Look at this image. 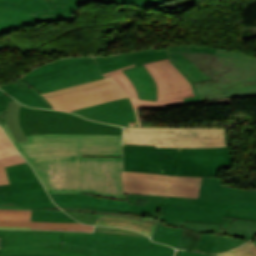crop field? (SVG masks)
Wrapping results in <instances>:
<instances>
[{
    "label": "crop field",
    "mask_w": 256,
    "mask_h": 256,
    "mask_svg": "<svg viewBox=\"0 0 256 256\" xmlns=\"http://www.w3.org/2000/svg\"><path fill=\"white\" fill-rule=\"evenodd\" d=\"M182 230L183 229L180 228L163 225L162 222L159 221L158 227L152 237V240L163 242L176 247Z\"/></svg>",
    "instance_id": "obj_22"
},
{
    "label": "crop field",
    "mask_w": 256,
    "mask_h": 256,
    "mask_svg": "<svg viewBox=\"0 0 256 256\" xmlns=\"http://www.w3.org/2000/svg\"><path fill=\"white\" fill-rule=\"evenodd\" d=\"M4 256H15V255H4Z\"/></svg>",
    "instance_id": "obj_41"
},
{
    "label": "crop field",
    "mask_w": 256,
    "mask_h": 256,
    "mask_svg": "<svg viewBox=\"0 0 256 256\" xmlns=\"http://www.w3.org/2000/svg\"><path fill=\"white\" fill-rule=\"evenodd\" d=\"M0 237V255L173 256L175 251L146 237L100 232L0 230Z\"/></svg>",
    "instance_id": "obj_3"
},
{
    "label": "crop field",
    "mask_w": 256,
    "mask_h": 256,
    "mask_svg": "<svg viewBox=\"0 0 256 256\" xmlns=\"http://www.w3.org/2000/svg\"><path fill=\"white\" fill-rule=\"evenodd\" d=\"M62 69L24 78L41 93L102 79L94 60L62 66Z\"/></svg>",
    "instance_id": "obj_14"
},
{
    "label": "crop field",
    "mask_w": 256,
    "mask_h": 256,
    "mask_svg": "<svg viewBox=\"0 0 256 256\" xmlns=\"http://www.w3.org/2000/svg\"><path fill=\"white\" fill-rule=\"evenodd\" d=\"M56 207L36 174L20 154L0 160V204Z\"/></svg>",
    "instance_id": "obj_7"
},
{
    "label": "crop field",
    "mask_w": 256,
    "mask_h": 256,
    "mask_svg": "<svg viewBox=\"0 0 256 256\" xmlns=\"http://www.w3.org/2000/svg\"><path fill=\"white\" fill-rule=\"evenodd\" d=\"M1 127L48 193H93L127 200L120 173L122 136L45 134L17 143L8 126Z\"/></svg>",
    "instance_id": "obj_1"
},
{
    "label": "crop field",
    "mask_w": 256,
    "mask_h": 256,
    "mask_svg": "<svg viewBox=\"0 0 256 256\" xmlns=\"http://www.w3.org/2000/svg\"><path fill=\"white\" fill-rule=\"evenodd\" d=\"M122 179L125 194H154L197 198L201 177L122 172Z\"/></svg>",
    "instance_id": "obj_10"
},
{
    "label": "crop field",
    "mask_w": 256,
    "mask_h": 256,
    "mask_svg": "<svg viewBox=\"0 0 256 256\" xmlns=\"http://www.w3.org/2000/svg\"><path fill=\"white\" fill-rule=\"evenodd\" d=\"M125 171L186 176H216L220 168L232 167L229 147L153 148L123 145Z\"/></svg>",
    "instance_id": "obj_4"
},
{
    "label": "crop field",
    "mask_w": 256,
    "mask_h": 256,
    "mask_svg": "<svg viewBox=\"0 0 256 256\" xmlns=\"http://www.w3.org/2000/svg\"><path fill=\"white\" fill-rule=\"evenodd\" d=\"M93 58L91 57H85V58H67V59H63L60 61H57L59 66L62 65H66V64H71V63H75V62H80V61H86V60H91Z\"/></svg>",
    "instance_id": "obj_33"
},
{
    "label": "crop field",
    "mask_w": 256,
    "mask_h": 256,
    "mask_svg": "<svg viewBox=\"0 0 256 256\" xmlns=\"http://www.w3.org/2000/svg\"><path fill=\"white\" fill-rule=\"evenodd\" d=\"M0 240H1V238H0Z\"/></svg>",
    "instance_id": "obj_43"
},
{
    "label": "crop field",
    "mask_w": 256,
    "mask_h": 256,
    "mask_svg": "<svg viewBox=\"0 0 256 256\" xmlns=\"http://www.w3.org/2000/svg\"><path fill=\"white\" fill-rule=\"evenodd\" d=\"M170 59L184 72V74L194 83L210 80L205 73L187 60L179 52H190V46L167 47Z\"/></svg>",
    "instance_id": "obj_19"
},
{
    "label": "crop field",
    "mask_w": 256,
    "mask_h": 256,
    "mask_svg": "<svg viewBox=\"0 0 256 256\" xmlns=\"http://www.w3.org/2000/svg\"><path fill=\"white\" fill-rule=\"evenodd\" d=\"M106 77L43 95L55 109L66 111L127 96L111 75Z\"/></svg>",
    "instance_id": "obj_11"
},
{
    "label": "crop field",
    "mask_w": 256,
    "mask_h": 256,
    "mask_svg": "<svg viewBox=\"0 0 256 256\" xmlns=\"http://www.w3.org/2000/svg\"><path fill=\"white\" fill-rule=\"evenodd\" d=\"M4 1H16V2H19L20 0H4Z\"/></svg>",
    "instance_id": "obj_40"
},
{
    "label": "crop field",
    "mask_w": 256,
    "mask_h": 256,
    "mask_svg": "<svg viewBox=\"0 0 256 256\" xmlns=\"http://www.w3.org/2000/svg\"><path fill=\"white\" fill-rule=\"evenodd\" d=\"M51 11L34 12L37 16L28 15L13 8H0V34L20 29L36 23L75 20L73 12L84 1L88 0H45ZM106 3L101 0H94Z\"/></svg>",
    "instance_id": "obj_13"
},
{
    "label": "crop field",
    "mask_w": 256,
    "mask_h": 256,
    "mask_svg": "<svg viewBox=\"0 0 256 256\" xmlns=\"http://www.w3.org/2000/svg\"><path fill=\"white\" fill-rule=\"evenodd\" d=\"M15 154H18V152L0 128V158L9 157Z\"/></svg>",
    "instance_id": "obj_28"
},
{
    "label": "crop field",
    "mask_w": 256,
    "mask_h": 256,
    "mask_svg": "<svg viewBox=\"0 0 256 256\" xmlns=\"http://www.w3.org/2000/svg\"><path fill=\"white\" fill-rule=\"evenodd\" d=\"M216 256H256V244L249 242L235 250L228 251Z\"/></svg>",
    "instance_id": "obj_27"
},
{
    "label": "crop field",
    "mask_w": 256,
    "mask_h": 256,
    "mask_svg": "<svg viewBox=\"0 0 256 256\" xmlns=\"http://www.w3.org/2000/svg\"><path fill=\"white\" fill-rule=\"evenodd\" d=\"M64 210L117 214L171 226L184 221L221 224L224 233L236 219L256 221V189L222 185L221 177H202L198 199L171 196L127 195L128 201L92 194H50Z\"/></svg>",
    "instance_id": "obj_2"
},
{
    "label": "crop field",
    "mask_w": 256,
    "mask_h": 256,
    "mask_svg": "<svg viewBox=\"0 0 256 256\" xmlns=\"http://www.w3.org/2000/svg\"><path fill=\"white\" fill-rule=\"evenodd\" d=\"M5 123V111H0V124Z\"/></svg>",
    "instance_id": "obj_38"
},
{
    "label": "crop field",
    "mask_w": 256,
    "mask_h": 256,
    "mask_svg": "<svg viewBox=\"0 0 256 256\" xmlns=\"http://www.w3.org/2000/svg\"><path fill=\"white\" fill-rule=\"evenodd\" d=\"M11 100L14 99L0 90V110H5L7 108V103Z\"/></svg>",
    "instance_id": "obj_35"
},
{
    "label": "crop field",
    "mask_w": 256,
    "mask_h": 256,
    "mask_svg": "<svg viewBox=\"0 0 256 256\" xmlns=\"http://www.w3.org/2000/svg\"><path fill=\"white\" fill-rule=\"evenodd\" d=\"M176 256H214V255L177 250Z\"/></svg>",
    "instance_id": "obj_37"
},
{
    "label": "crop field",
    "mask_w": 256,
    "mask_h": 256,
    "mask_svg": "<svg viewBox=\"0 0 256 256\" xmlns=\"http://www.w3.org/2000/svg\"><path fill=\"white\" fill-rule=\"evenodd\" d=\"M123 144L154 147L229 146L226 129L124 128Z\"/></svg>",
    "instance_id": "obj_9"
},
{
    "label": "crop field",
    "mask_w": 256,
    "mask_h": 256,
    "mask_svg": "<svg viewBox=\"0 0 256 256\" xmlns=\"http://www.w3.org/2000/svg\"><path fill=\"white\" fill-rule=\"evenodd\" d=\"M0 209L54 211V210L28 208L23 206H0ZM56 212H63V211H56Z\"/></svg>",
    "instance_id": "obj_36"
},
{
    "label": "crop field",
    "mask_w": 256,
    "mask_h": 256,
    "mask_svg": "<svg viewBox=\"0 0 256 256\" xmlns=\"http://www.w3.org/2000/svg\"><path fill=\"white\" fill-rule=\"evenodd\" d=\"M201 233H194L188 230H183L180 240L176 248L196 250Z\"/></svg>",
    "instance_id": "obj_26"
},
{
    "label": "crop field",
    "mask_w": 256,
    "mask_h": 256,
    "mask_svg": "<svg viewBox=\"0 0 256 256\" xmlns=\"http://www.w3.org/2000/svg\"><path fill=\"white\" fill-rule=\"evenodd\" d=\"M168 60H169V61L173 64V66L191 83V86H192V89H193V92H194L195 97L184 99L185 103L175 104V105H169V106H166V107L182 106V105H189V104H195V103H202V102H204V101H200L194 83H192V82L183 74V72L176 66V64H174L170 59H168Z\"/></svg>",
    "instance_id": "obj_29"
},
{
    "label": "crop field",
    "mask_w": 256,
    "mask_h": 256,
    "mask_svg": "<svg viewBox=\"0 0 256 256\" xmlns=\"http://www.w3.org/2000/svg\"><path fill=\"white\" fill-rule=\"evenodd\" d=\"M31 211L0 210V226L31 227V229L93 231V226L68 223L30 222Z\"/></svg>",
    "instance_id": "obj_17"
},
{
    "label": "crop field",
    "mask_w": 256,
    "mask_h": 256,
    "mask_svg": "<svg viewBox=\"0 0 256 256\" xmlns=\"http://www.w3.org/2000/svg\"><path fill=\"white\" fill-rule=\"evenodd\" d=\"M181 54L213 79L195 84L201 100L256 97V58L222 49Z\"/></svg>",
    "instance_id": "obj_5"
},
{
    "label": "crop field",
    "mask_w": 256,
    "mask_h": 256,
    "mask_svg": "<svg viewBox=\"0 0 256 256\" xmlns=\"http://www.w3.org/2000/svg\"><path fill=\"white\" fill-rule=\"evenodd\" d=\"M123 72L136 88L139 99L156 100L155 81L143 65L123 70Z\"/></svg>",
    "instance_id": "obj_18"
},
{
    "label": "crop field",
    "mask_w": 256,
    "mask_h": 256,
    "mask_svg": "<svg viewBox=\"0 0 256 256\" xmlns=\"http://www.w3.org/2000/svg\"><path fill=\"white\" fill-rule=\"evenodd\" d=\"M127 57H129L132 60V62L136 66H138L147 62L166 59L168 58V55L165 48H161V49H155V50L133 52V53H129L121 56L95 58V60L97 61L98 65H101V64L117 61L123 58H127Z\"/></svg>",
    "instance_id": "obj_21"
},
{
    "label": "crop field",
    "mask_w": 256,
    "mask_h": 256,
    "mask_svg": "<svg viewBox=\"0 0 256 256\" xmlns=\"http://www.w3.org/2000/svg\"><path fill=\"white\" fill-rule=\"evenodd\" d=\"M20 103L12 101L8 104V109L6 111V122L12 132L16 137L18 142L27 140L24 135L19 122H18V113H19Z\"/></svg>",
    "instance_id": "obj_23"
},
{
    "label": "crop field",
    "mask_w": 256,
    "mask_h": 256,
    "mask_svg": "<svg viewBox=\"0 0 256 256\" xmlns=\"http://www.w3.org/2000/svg\"><path fill=\"white\" fill-rule=\"evenodd\" d=\"M95 231L101 232H113V233H122V234H130V235H138V236H145L135 231L114 228V227H103V226H95ZM147 237V236H146Z\"/></svg>",
    "instance_id": "obj_32"
},
{
    "label": "crop field",
    "mask_w": 256,
    "mask_h": 256,
    "mask_svg": "<svg viewBox=\"0 0 256 256\" xmlns=\"http://www.w3.org/2000/svg\"><path fill=\"white\" fill-rule=\"evenodd\" d=\"M0 228H7V229H30V228H12V227H0Z\"/></svg>",
    "instance_id": "obj_39"
},
{
    "label": "crop field",
    "mask_w": 256,
    "mask_h": 256,
    "mask_svg": "<svg viewBox=\"0 0 256 256\" xmlns=\"http://www.w3.org/2000/svg\"><path fill=\"white\" fill-rule=\"evenodd\" d=\"M19 122L25 135L45 133L122 135V127L92 122L70 113L22 105Z\"/></svg>",
    "instance_id": "obj_8"
},
{
    "label": "crop field",
    "mask_w": 256,
    "mask_h": 256,
    "mask_svg": "<svg viewBox=\"0 0 256 256\" xmlns=\"http://www.w3.org/2000/svg\"><path fill=\"white\" fill-rule=\"evenodd\" d=\"M220 225L185 222V229L202 232L196 251L220 253L242 245L256 236V222L236 219L224 234H217Z\"/></svg>",
    "instance_id": "obj_12"
},
{
    "label": "crop field",
    "mask_w": 256,
    "mask_h": 256,
    "mask_svg": "<svg viewBox=\"0 0 256 256\" xmlns=\"http://www.w3.org/2000/svg\"><path fill=\"white\" fill-rule=\"evenodd\" d=\"M60 68L56 62H52L46 65H43L35 70H33L31 73H29L27 76L54 70ZM1 88L17 99L18 101L28 105V106H34V107H41V108H50L53 109L50 102L39 92H37L34 88H32L27 82H25L23 79H20L18 81H15L9 85L1 86Z\"/></svg>",
    "instance_id": "obj_16"
},
{
    "label": "crop field",
    "mask_w": 256,
    "mask_h": 256,
    "mask_svg": "<svg viewBox=\"0 0 256 256\" xmlns=\"http://www.w3.org/2000/svg\"><path fill=\"white\" fill-rule=\"evenodd\" d=\"M129 65H133V63L131 62V60L129 58H127V59L120 60V61H117V62H114V63L101 65L99 67H100L102 73H104V72H108V71L115 70V69H118V68L126 67V66H129Z\"/></svg>",
    "instance_id": "obj_31"
},
{
    "label": "crop field",
    "mask_w": 256,
    "mask_h": 256,
    "mask_svg": "<svg viewBox=\"0 0 256 256\" xmlns=\"http://www.w3.org/2000/svg\"><path fill=\"white\" fill-rule=\"evenodd\" d=\"M217 49L205 46H191V52H204L215 54Z\"/></svg>",
    "instance_id": "obj_34"
},
{
    "label": "crop field",
    "mask_w": 256,
    "mask_h": 256,
    "mask_svg": "<svg viewBox=\"0 0 256 256\" xmlns=\"http://www.w3.org/2000/svg\"><path fill=\"white\" fill-rule=\"evenodd\" d=\"M95 224L105 225V226H115L123 227L127 229H132L140 232H144L147 235L151 236L155 228V224L117 216V215H105L97 214Z\"/></svg>",
    "instance_id": "obj_20"
},
{
    "label": "crop field",
    "mask_w": 256,
    "mask_h": 256,
    "mask_svg": "<svg viewBox=\"0 0 256 256\" xmlns=\"http://www.w3.org/2000/svg\"><path fill=\"white\" fill-rule=\"evenodd\" d=\"M70 112L105 123L137 126L134 111L128 97Z\"/></svg>",
    "instance_id": "obj_15"
},
{
    "label": "crop field",
    "mask_w": 256,
    "mask_h": 256,
    "mask_svg": "<svg viewBox=\"0 0 256 256\" xmlns=\"http://www.w3.org/2000/svg\"><path fill=\"white\" fill-rule=\"evenodd\" d=\"M254 241H256V239Z\"/></svg>",
    "instance_id": "obj_42"
},
{
    "label": "crop field",
    "mask_w": 256,
    "mask_h": 256,
    "mask_svg": "<svg viewBox=\"0 0 256 256\" xmlns=\"http://www.w3.org/2000/svg\"><path fill=\"white\" fill-rule=\"evenodd\" d=\"M0 7H14L31 15H34L31 13L34 11L50 10L44 0H21L19 3L0 1Z\"/></svg>",
    "instance_id": "obj_24"
},
{
    "label": "crop field",
    "mask_w": 256,
    "mask_h": 256,
    "mask_svg": "<svg viewBox=\"0 0 256 256\" xmlns=\"http://www.w3.org/2000/svg\"><path fill=\"white\" fill-rule=\"evenodd\" d=\"M144 66L156 81L157 101L138 100V95L133 85L121 71L123 69L135 67V65L103 74L104 76L111 74L130 97L138 126H141V123L137 108L165 109V105L181 103L183 102L182 98L194 96L189 82L167 59L147 63L144 64Z\"/></svg>",
    "instance_id": "obj_6"
},
{
    "label": "crop field",
    "mask_w": 256,
    "mask_h": 256,
    "mask_svg": "<svg viewBox=\"0 0 256 256\" xmlns=\"http://www.w3.org/2000/svg\"><path fill=\"white\" fill-rule=\"evenodd\" d=\"M114 3H124L137 6H153L166 0H106Z\"/></svg>",
    "instance_id": "obj_30"
},
{
    "label": "crop field",
    "mask_w": 256,
    "mask_h": 256,
    "mask_svg": "<svg viewBox=\"0 0 256 256\" xmlns=\"http://www.w3.org/2000/svg\"><path fill=\"white\" fill-rule=\"evenodd\" d=\"M31 221L78 223L65 213L32 211Z\"/></svg>",
    "instance_id": "obj_25"
}]
</instances>
